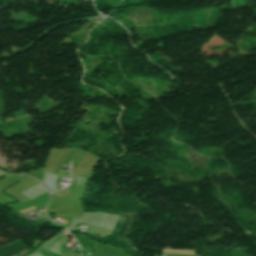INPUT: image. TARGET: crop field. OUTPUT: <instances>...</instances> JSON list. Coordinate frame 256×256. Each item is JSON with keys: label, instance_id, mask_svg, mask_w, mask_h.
<instances>
[{"label": "crop field", "instance_id": "obj_3", "mask_svg": "<svg viewBox=\"0 0 256 256\" xmlns=\"http://www.w3.org/2000/svg\"><path fill=\"white\" fill-rule=\"evenodd\" d=\"M165 252H172V253H187V254H194V252H187V251H171V250H164Z\"/></svg>", "mask_w": 256, "mask_h": 256}, {"label": "crop field", "instance_id": "obj_1", "mask_svg": "<svg viewBox=\"0 0 256 256\" xmlns=\"http://www.w3.org/2000/svg\"><path fill=\"white\" fill-rule=\"evenodd\" d=\"M39 181L31 178L28 180H24L21 181V183H18L14 186H12L9 190L5 191V193H7L10 196L15 197L16 199H18L20 202H27L30 201L28 200L26 197L22 196L21 194H19L18 192L38 183Z\"/></svg>", "mask_w": 256, "mask_h": 256}, {"label": "crop field", "instance_id": "obj_4", "mask_svg": "<svg viewBox=\"0 0 256 256\" xmlns=\"http://www.w3.org/2000/svg\"><path fill=\"white\" fill-rule=\"evenodd\" d=\"M35 207H33V208H30V209H28V210H31V209H34ZM28 210H25V211H28ZM25 211H22V212H25ZM22 212H20V213H22Z\"/></svg>", "mask_w": 256, "mask_h": 256}, {"label": "crop field", "instance_id": "obj_2", "mask_svg": "<svg viewBox=\"0 0 256 256\" xmlns=\"http://www.w3.org/2000/svg\"><path fill=\"white\" fill-rule=\"evenodd\" d=\"M83 154H84V151L82 150H74L70 154L69 159L79 162Z\"/></svg>", "mask_w": 256, "mask_h": 256}, {"label": "crop field", "instance_id": "obj_5", "mask_svg": "<svg viewBox=\"0 0 256 256\" xmlns=\"http://www.w3.org/2000/svg\"><path fill=\"white\" fill-rule=\"evenodd\" d=\"M69 256H77V255H71V254H69Z\"/></svg>", "mask_w": 256, "mask_h": 256}]
</instances>
